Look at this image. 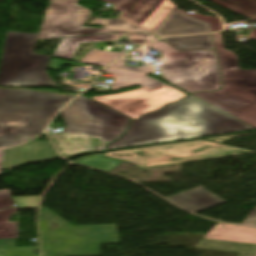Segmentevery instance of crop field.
Segmentation results:
<instances>
[{
	"label": "crop field",
	"instance_id": "8a807250",
	"mask_svg": "<svg viewBox=\"0 0 256 256\" xmlns=\"http://www.w3.org/2000/svg\"><path fill=\"white\" fill-rule=\"evenodd\" d=\"M252 128L210 105L187 96L177 103L131 122L121 139L107 149L197 138ZM97 145L95 151L106 150Z\"/></svg>",
	"mask_w": 256,
	"mask_h": 256
},
{
	"label": "crop field",
	"instance_id": "ac0d7876",
	"mask_svg": "<svg viewBox=\"0 0 256 256\" xmlns=\"http://www.w3.org/2000/svg\"><path fill=\"white\" fill-rule=\"evenodd\" d=\"M73 97L0 89V148L26 142L41 133Z\"/></svg>",
	"mask_w": 256,
	"mask_h": 256
},
{
	"label": "crop field",
	"instance_id": "34b2d1b8",
	"mask_svg": "<svg viewBox=\"0 0 256 256\" xmlns=\"http://www.w3.org/2000/svg\"><path fill=\"white\" fill-rule=\"evenodd\" d=\"M223 86L193 95L256 127V70H240L237 56L224 49L219 33L212 34Z\"/></svg>",
	"mask_w": 256,
	"mask_h": 256
},
{
	"label": "crop field",
	"instance_id": "412701ff",
	"mask_svg": "<svg viewBox=\"0 0 256 256\" xmlns=\"http://www.w3.org/2000/svg\"><path fill=\"white\" fill-rule=\"evenodd\" d=\"M38 34L7 32L0 60V87H55L46 73L50 57L32 53Z\"/></svg>",
	"mask_w": 256,
	"mask_h": 256
},
{
	"label": "crop field",
	"instance_id": "f4fd0767",
	"mask_svg": "<svg viewBox=\"0 0 256 256\" xmlns=\"http://www.w3.org/2000/svg\"><path fill=\"white\" fill-rule=\"evenodd\" d=\"M149 46L162 52L160 69L168 82L189 93L220 88L214 51L178 52L164 42Z\"/></svg>",
	"mask_w": 256,
	"mask_h": 256
},
{
	"label": "crop field",
	"instance_id": "dd49c442",
	"mask_svg": "<svg viewBox=\"0 0 256 256\" xmlns=\"http://www.w3.org/2000/svg\"><path fill=\"white\" fill-rule=\"evenodd\" d=\"M66 127L51 138L102 139V144L122 135L130 119L84 97L79 96L61 112Z\"/></svg>",
	"mask_w": 256,
	"mask_h": 256
},
{
	"label": "crop field",
	"instance_id": "e52e79f7",
	"mask_svg": "<svg viewBox=\"0 0 256 256\" xmlns=\"http://www.w3.org/2000/svg\"><path fill=\"white\" fill-rule=\"evenodd\" d=\"M78 0H49L37 39L67 36L104 34L114 32L149 33L126 21L94 18L91 25L101 24V29L83 27L91 18L90 10L78 6Z\"/></svg>",
	"mask_w": 256,
	"mask_h": 256
},
{
	"label": "crop field",
	"instance_id": "d8731c3e",
	"mask_svg": "<svg viewBox=\"0 0 256 256\" xmlns=\"http://www.w3.org/2000/svg\"><path fill=\"white\" fill-rule=\"evenodd\" d=\"M256 153L204 140L104 153L140 168Z\"/></svg>",
	"mask_w": 256,
	"mask_h": 256
},
{
	"label": "crop field",
	"instance_id": "5a996713",
	"mask_svg": "<svg viewBox=\"0 0 256 256\" xmlns=\"http://www.w3.org/2000/svg\"><path fill=\"white\" fill-rule=\"evenodd\" d=\"M185 93L168 85L154 90L146 87L120 94L91 97L133 119L160 109L165 104L177 101Z\"/></svg>",
	"mask_w": 256,
	"mask_h": 256
},
{
	"label": "crop field",
	"instance_id": "3316defc",
	"mask_svg": "<svg viewBox=\"0 0 256 256\" xmlns=\"http://www.w3.org/2000/svg\"><path fill=\"white\" fill-rule=\"evenodd\" d=\"M122 11L118 17L153 32L172 12L170 0H102Z\"/></svg>",
	"mask_w": 256,
	"mask_h": 256
},
{
	"label": "crop field",
	"instance_id": "28ad6ade",
	"mask_svg": "<svg viewBox=\"0 0 256 256\" xmlns=\"http://www.w3.org/2000/svg\"><path fill=\"white\" fill-rule=\"evenodd\" d=\"M60 158L50 142L30 144L4 150L2 171L21 165Z\"/></svg>",
	"mask_w": 256,
	"mask_h": 256
},
{
	"label": "crop field",
	"instance_id": "d1516ede",
	"mask_svg": "<svg viewBox=\"0 0 256 256\" xmlns=\"http://www.w3.org/2000/svg\"><path fill=\"white\" fill-rule=\"evenodd\" d=\"M167 199L192 213L226 202L201 187Z\"/></svg>",
	"mask_w": 256,
	"mask_h": 256
},
{
	"label": "crop field",
	"instance_id": "22f410ed",
	"mask_svg": "<svg viewBox=\"0 0 256 256\" xmlns=\"http://www.w3.org/2000/svg\"><path fill=\"white\" fill-rule=\"evenodd\" d=\"M209 32L207 24L173 12L153 33L162 35Z\"/></svg>",
	"mask_w": 256,
	"mask_h": 256
},
{
	"label": "crop field",
	"instance_id": "cbeb9de0",
	"mask_svg": "<svg viewBox=\"0 0 256 256\" xmlns=\"http://www.w3.org/2000/svg\"><path fill=\"white\" fill-rule=\"evenodd\" d=\"M204 238L256 244V229L218 223Z\"/></svg>",
	"mask_w": 256,
	"mask_h": 256
},
{
	"label": "crop field",
	"instance_id": "5142ce71",
	"mask_svg": "<svg viewBox=\"0 0 256 256\" xmlns=\"http://www.w3.org/2000/svg\"><path fill=\"white\" fill-rule=\"evenodd\" d=\"M103 72L115 74L114 76L115 82L112 86V90L122 89V88L136 86V85H143L148 88L154 89V88L166 85L156 79L146 77L147 74L145 73L124 71V70H117V69H110V68L104 69Z\"/></svg>",
	"mask_w": 256,
	"mask_h": 256
},
{
	"label": "crop field",
	"instance_id": "d9b57169",
	"mask_svg": "<svg viewBox=\"0 0 256 256\" xmlns=\"http://www.w3.org/2000/svg\"><path fill=\"white\" fill-rule=\"evenodd\" d=\"M116 34L91 35L61 38L53 56L71 60L80 43L117 41Z\"/></svg>",
	"mask_w": 256,
	"mask_h": 256
},
{
	"label": "crop field",
	"instance_id": "733c2abd",
	"mask_svg": "<svg viewBox=\"0 0 256 256\" xmlns=\"http://www.w3.org/2000/svg\"><path fill=\"white\" fill-rule=\"evenodd\" d=\"M193 248L240 253L239 256H256V245L202 239Z\"/></svg>",
	"mask_w": 256,
	"mask_h": 256
},
{
	"label": "crop field",
	"instance_id": "4a817a6b",
	"mask_svg": "<svg viewBox=\"0 0 256 256\" xmlns=\"http://www.w3.org/2000/svg\"><path fill=\"white\" fill-rule=\"evenodd\" d=\"M163 40L178 50L213 49L209 34L163 38Z\"/></svg>",
	"mask_w": 256,
	"mask_h": 256
},
{
	"label": "crop field",
	"instance_id": "bc2a9ffb",
	"mask_svg": "<svg viewBox=\"0 0 256 256\" xmlns=\"http://www.w3.org/2000/svg\"><path fill=\"white\" fill-rule=\"evenodd\" d=\"M54 141L63 157L94 150V147L101 143V140L89 139H54Z\"/></svg>",
	"mask_w": 256,
	"mask_h": 256
},
{
	"label": "crop field",
	"instance_id": "214f88e0",
	"mask_svg": "<svg viewBox=\"0 0 256 256\" xmlns=\"http://www.w3.org/2000/svg\"><path fill=\"white\" fill-rule=\"evenodd\" d=\"M247 17H256V0H212Z\"/></svg>",
	"mask_w": 256,
	"mask_h": 256
},
{
	"label": "crop field",
	"instance_id": "92a150f3",
	"mask_svg": "<svg viewBox=\"0 0 256 256\" xmlns=\"http://www.w3.org/2000/svg\"><path fill=\"white\" fill-rule=\"evenodd\" d=\"M17 210L15 208L0 210V239H17V223H8L11 215Z\"/></svg>",
	"mask_w": 256,
	"mask_h": 256
},
{
	"label": "crop field",
	"instance_id": "dafd665d",
	"mask_svg": "<svg viewBox=\"0 0 256 256\" xmlns=\"http://www.w3.org/2000/svg\"><path fill=\"white\" fill-rule=\"evenodd\" d=\"M122 55L124 54L114 53V52H104V51L93 49L86 56L83 57L81 62L104 66L116 60Z\"/></svg>",
	"mask_w": 256,
	"mask_h": 256
},
{
	"label": "crop field",
	"instance_id": "00972430",
	"mask_svg": "<svg viewBox=\"0 0 256 256\" xmlns=\"http://www.w3.org/2000/svg\"><path fill=\"white\" fill-rule=\"evenodd\" d=\"M121 162H122L121 160H116V159H111V158H106V157L96 155V156L78 160L76 163H80L86 166H90L93 168H97V169L109 172L112 169H114L116 166H118Z\"/></svg>",
	"mask_w": 256,
	"mask_h": 256
},
{
	"label": "crop field",
	"instance_id": "a9b5d70f",
	"mask_svg": "<svg viewBox=\"0 0 256 256\" xmlns=\"http://www.w3.org/2000/svg\"><path fill=\"white\" fill-rule=\"evenodd\" d=\"M176 11L184 13V14H186L190 17H193L197 20L209 23L211 32H215V31H218V30L221 29V23H220L219 19H217L215 17H211V16L204 17V16H200V15H197V14L193 15V14L187 13V12L181 10V9H178V8H176Z\"/></svg>",
	"mask_w": 256,
	"mask_h": 256
},
{
	"label": "crop field",
	"instance_id": "4177f3b9",
	"mask_svg": "<svg viewBox=\"0 0 256 256\" xmlns=\"http://www.w3.org/2000/svg\"><path fill=\"white\" fill-rule=\"evenodd\" d=\"M126 37L132 41V43H137L140 45H145L155 38L153 35L148 34H136V33H127Z\"/></svg>",
	"mask_w": 256,
	"mask_h": 256
},
{
	"label": "crop field",
	"instance_id": "730fd06b",
	"mask_svg": "<svg viewBox=\"0 0 256 256\" xmlns=\"http://www.w3.org/2000/svg\"><path fill=\"white\" fill-rule=\"evenodd\" d=\"M14 201L8 190L0 191V209L15 207L13 206Z\"/></svg>",
	"mask_w": 256,
	"mask_h": 256
},
{
	"label": "crop field",
	"instance_id": "eef30255",
	"mask_svg": "<svg viewBox=\"0 0 256 256\" xmlns=\"http://www.w3.org/2000/svg\"><path fill=\"white\" fill-rule=\"evenodd\" d=\"M126 60H121L111 66H109L110 68H117V69H124V70H131V71H138V72H145V73H150L151 74V70L152 68H146V67H139V68H134V67H128V66H124Z\"/></svg>",
	"mask_w": 256,
	"mask_h": 256
},
{
	"label": "crop field",
	"instance_id": "ae1a2a85",
	"mask_svg": "<svg viewBox=\"0 0 256 256\" xmlns=\"http://www.w3.org/2000/svg\"><path fill=\"white\" fill-rule=\"evenodd\" d=\"M243 224L256 226V208L255 210L246 218Z\"/></svg>",
	"mask_w": 256,
	"mask_h": 256
},
{
	"label": "crop field",
	"instance_id": "d3111659",
	"mask_svg": "<svg viewBox=\"0 0 256 256\" xmlns=\"http://www.w3.org/2000/svg\"><path fill=\"white\" fill-rule=\"evenodd\" d=\"M63 64L68 65L69 62L52 60L49 69H59Z\"/></svg>",
	"mask_w": 256,
	"mask_h": 256
},
{
	"label": "crop field",
	"instance_id": "750c4746",
	"mask_svg": "<svg viewBox=\"0 0 256 256\" xmlns=\"http://www.w3.org/2000/svg\"><path fill=\"white\" fill-rule=\"evenodd\" d=\"M248 39H249V40L256 39V29L251 30Z\"/></svg>",
	"mask_w": 256,
	"mask_h": 256
},
{
	"label": "crop field",
	"instance_id": "bd1437ed",
	"mask_svg": "<svg viewBox=\"0 0 256 256\" xmlns=\"http://www.w3.org/2000/svg\"><path fill=\"white\" fill-rule=\"evenodd\" d=\"M2 155H3V150H0V172H1V166H2Z\"/></svg>",
	"mask_w": 256,
	"mask_h": 256
}]
</instances>
